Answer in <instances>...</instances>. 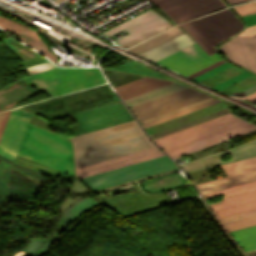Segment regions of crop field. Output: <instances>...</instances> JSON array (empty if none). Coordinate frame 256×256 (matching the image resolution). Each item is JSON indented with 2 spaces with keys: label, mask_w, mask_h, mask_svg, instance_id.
<instances>
[{
  "label": "crop field",
  "mask_w": 256,
  "mask_h": 256,
  "mask_svg": "<svg viewBox=\"0 0 256 256\" xmlns=\"http://www.w3.org/2000/svg\"><path fill=\"white\" fill-rule=\"evenodd\" d=\"M69 138L75 168L154 147L135 120Z\"/></svg>",
  "instance_id": "8a807250"
},
{
  "label": "crop field",
  "mask_w": 256,
  "mask_h": 256,
  "mask_svg": "<svg viewBox=\"0 0 256 256\" xmlns=\"http://www.w3.org/2000/svg\"><path fill=\"white\" fill-rule=\"evenodd\" d=\"M256 130V126L231 113L154 140L172 158Z\"/></svg>",
  "instance_id": "ac0d7876"
},
{
  "label": "crop field",
  "mask_w": 256,
  "mask_h": 256,
  "mask_svg": "<svg viewBox=\"0 0 256 256\" xmlns=\"http://www.w3.org/2000/svg\"><path fill=\"white\" fill-rule=\"evenodd\" d=\"M18 155L73 174L69 141L46 129L29 124Z\"/></svg>",
  "instance_id": "34b2d1b8"
},
{
  "label": "crop field",
  "mask_w": 256,
  "mask_h": 256,
  "mask_svg": "<svg viewBox=\"0 0 256 256\" xmlns=\"http://www.w3.org/2000/svg\"><path fill=\"white\" fill-rule=\"evenodd\" d=\"M61 98L62 100H60V98H54L55 100L50 99L51 101L46 100L47 102L42 101L43 103H38L40 105L56 100L60 101L40 106H38L37 104H32L23 106L22 108L50 120L70 115L72 113L119 102V99L116 97L114 92L107 84L72 93L69 95L61 96Z\"/></svg>",
  "instance_id": "412701ff"
},
{
  "label": "crop field",
  "mask_w": 256,
  "mask_h": 256,
  "mask_svg": "<svg viewBox=\"0 0 256 256\" xmlns=\"http://www.w3.org/2000/svg\"><path fill=\"white\" fill-rule=\"evenodd\" d=\"M23 80L29 86L44 88L51 97L105 82L97 68H57Z\"/></svg>",
  "instance_id": "f4fd0767"
},
{
  "label": "crop field",
  "mask_w": 256,
  "mask_h": 256,
  "mask_svg": "<svg viewBox=\"0 0 256 256\" xmlns=\"http://www.w3.org/2000/svg\"><path fill=\"white\" fill-rule=\"evenodd\" d=\"M197 21L219 42L241 30V22L228 10L197 19ZM196 20L180 26L208 53L216 50L212 47L218 43Z\"/></svg>",
  "instance_id": "dd49c442"
},
{
  "label": "crop field",
  "mask_w": 256,
  "mask_h": 256,
  "mask_svg": "<svg viewBox=\"0 0 256 256\" xmlns=\"http://www.w3.org/2000/svg\"><path fill=\"white\" fill-rule=\"evenodd\" d=\"M153 11V10H152ZM150 9L100 33L106 37H109L123 29H125L129 34L115 40L117 45H122L146 32H149L165 23H167L163 18L152 12ZM172 27L169 23L149 32L146 33L124 45L121 47L127 48L135 43H138L148 37H151L161 31H164L165 29H168Z\"/></svg>",
  "instance_id": "e52e79f7"
},
{
  "label": "crop field",
  "mask_w": 256,
  "mask_h": 256,
  "mask_svg": "<svg viewBox=\"0 0 256 256\" xmlns=\"http://www.w3.org/2000/svg\"><path fill=\"white\" fill-rule=\"evenodd\" d=\"M171 169H175L173 164L160 157L82 179L96 189Z\"/></svg>",
  "instance_id": "d8731c3e"
},
{
  "label": "crop field",
  "mask_w": 256,
  "mask_h": 256,
  "mask_svg": "<svg viewBox=\"0 0 256 256\" xmlns=\"http://www.w3.org/2000/svg\"><path fill=\"white\" fill-rule=\"evenodd\" d=\"M222 194L221 201L209 204L219 217L256 208V181L203 194L204 199Z\"/></svg>",
  "instance_id": "5a996713"
},
{
  "label": "crop field",
  "mask_w": 256,
  "mask_h": 256,
  "mask_svg": "<svg viewBox=\"0 0 256 256\" xmlns=\"http://www.w3.org/2000/svg\"><path fill=\"white\" fill-rule=\"evenodd\" d=\"M77 123L69 126L74 135L133 120L128 110L119 102L70 115Z\"/></svg>",
  "instance_id": "3316defc"
},
{
  "label": "crop field",
  "mask_w": 256,
  "mask_h": 256,
  "mask_svg": "<svg viewBox=\"0 0 256 256\" xmlns=\"http://www.w3.org/2000/svg\"><path fill=\"white\" fill-rule=\"evenodd\" d=\"M227 177L196 184L201 194L256 180V157L221 165Z\"/></svg>",
  "instance_id": "28ad6ade"
},
{
  "label": "crop field",
  "mask_w": 256,
  "mask_h": 256,
  "mask_svg": "<svg viewBox=\"0 0 256 256\" xmlns=\"http://www.w3.org/2000/svg\"><path fill=\"white\" fill-rule=\"evenodd\" d=\"M206 97L209 96L189 87L148 103L136 106L131 108V110L138 120H144Z\"/></svg>",
  "instance_id": "d1516ede"
},
{
  "label": "crop field",
  "mask_w": 256,
  "mask_h": 256,
  "mask_svg": "<svg viewBox=\"0 0 256 256\" xmlns=\"http://www.w3.org/2000/svg\"><path fill=\"white\" fill-rule=\"evenodd\" d=\"M166 12L176 23L225 8L221 0H151Z\"/></svg>",
  "instance_id": "22f410ed"
},
{
  "label": "crop field",
  "mask_w": 256,
  "mask_h": 256,
  "mask_svg": "<svg viewBox=\"0 0 256 256\" xmlns=\"http://www.w3.org/2000/svg\"><path fill=\"white\" fill-rule=\"evenodd\" d=\"M219 59L217 53L208 57L194 43L156 63L187 76Z\"/></svg>",
  "instance_id": "cbeb9de0"
},
{
  "label": "crop field",
  "mask_w": 256,
  "mask_h": 256,
  "mask_svg": "<svg viewBox=\"0 0 256 256\" xmlns=\"http://www.w3.org/2000/svg\"><path fill=\"white\" fill-rule=\"evenodd\" d=\"M31 115V113L18 108L11 111L0 140L1 154L14 159Z\"/></svg>",
  "instance_id": "5142ce71"
},
{
  "label": "crop field",
  "mask_w": 256,
  "mask_h": 256,
  "mask_svg": "<svg viewBox=\"0 0 256 256\" xmlns=\"http://www.w3.org/2000/svg\"><path fill=\"white\" fill-rule=\"evenodd\" d=\"M95 205H97V202L89 197L78 199L75 202V204L71 208L67 209L60 217L59 227L56 230V232L52 235V238L48 240L43 238H31L28 245L22 250H24L25 252L32 256L34 252L38 249V247L42 244V242L46 240L45 243L34 255L41 256L47 250V248L59 238L57 235H59L79 214Z\"/></svg>",
  "instance_id": "d9b57169"
},
{
  "label": "crop field",
  "mask_w": 256,
  "mask_h": 256,
  "mask_svg": "<svg viewBox=\"0 0 256 256\" xmlns=\"http://www.w3.org/2000/svg\"><path fill=\"white\" fill-rule=\"evenodd\" d=\"M220 49L229 60L256 72V37L236 36L221 44Z\"/></svg>",
  "instance_id": "733c2abd"
},
{
  "label": "crop field",
  "mask_w": 256,
  "mask_h": 256,
  "mask_svg": "<svg viewBox=\"0 0 256 256\" xmlns=\"http://www.w3.org/2000/svg\"><path fill=\"white\" fill-rule=\"evenodd\" d=\"M162 154L159 150H157L155 147L146 149L143 151L135 152L132 154L124 155L121 157L109 159L106 161L98 162L95 164L87 165L84 167L76 168L75 174L81 178L89 175H93L96 173L108 171L111 169H115L118 167L126 166L129 164H133L136 162L144 161L147 159H151L154 157L162 156Z\"/></svg>",
  "instance_id": "4a817a6b"
},
{
  "label": "crop field",
  "mask_w": 256,
  "mask_h": 256,
  "mask_svg": "<svg viewBox=\"0 0 256 256\" xmlns=\"http://www.w3.org/2000/svg\"><path fill=\"white\" fill-rule=\"evenodd\" d=\"M191 43H193V41L185 33H183L139 55L155 62Z\"/></svg>",
  "instance_id": "bc2a9ffb"
},
{
  "label": "crop field",
  "mask_w": 256,
  "mask_h": 256,
  "mask_svg": "<svg viewBox=\"0 0 256 256\" xmlns=\"http://www.w3.org/2000/svg\"><path fill=\"white\" fill-rule=\"evenodd\" d=\"M186 85H182L176 82L170 83L168 85L162 86L160 88L154 89L152 91L146 92L144 94L138 95L136 97L130 98L128 100H125V103L128 105L129 108L134 107L136 105L148 102L150 100L159 98L161 96L170 94L172 92L184 89Z\"/></svg>",
  "instance_id": "214f88e0"
},
{
  "label": "crop field",
  "mask_w": 256,
  "mask_h": 256,
  "mask_svg": "<svg viewBox=\"0 0 256 256\" xmlns=\"http://www.w3.org/2000/svg\"><path fill=\"white\" fill-rule=\"evenodd\" d=\"M228 232L256 225V209L219 218Z\"/></svg>",
  "instance_id": "92a150f3"
},
{
  "label": "crop field",
  "mask_w": 256,
  "mask_h": 256,
  "mask_svg": "<svg viewBox=\"0 0 256 256\" xmlns=\"http://www.w3.org/2000/svg\"><path fill=\"white\" fill-rule=\"evenodd\" d=\"M172 81H166L161 79L151 78L144 82L138 83L126 89L118 91L123 100L128 99L130 97L136 96L138 94L144 93L146 91L152 90L154 88L160 87L162 85L168 84Z\"/></svg>",
  "instance_id": "dafd665d"
},
{
  "label": "crop field",
  "mask_w": 256,
  "mask_h": 256,
  "mask_svg": "<svg viewBox=\"0 0 256 256\" xmlns=\"http://www.w3.org/2000/svg\"><path fill=\"white\" fill-rule=\"evenodd\" d=\"M181 33H183V31L180 30L177 26H175V27H173V28H171V29H169V30H167V31H165V32H163V33H161V34H159V35H157V36H155V37H153V38H151V39H149V40H147V41H145V42H143V43H141V44H139L135 47H133V48H131V49H129V51L134 52L136 54H139V53H141V52H143V51H145V50H147L151 47H154V46H156V45H158V44H160V43H162V42H164L168 39H171V38H173V37H175V36H177Z\"/></svg>",
  "instance_id": "00972430"
},
{
  "label": "crop field",
  "mask_w": 256,
  "mask_h": 256,
  "mask_svg": "<svg viewBox=\"0 0 256 256\" xmlns=\"http://www.w3.org/2000/svg\"><path fill=\"white\" fill-rule=\"evenodd\" d=\"M243 251L256 248V226L230 232Z\"/></svg>",
  "instance_id": "a9b5d70f"
},
{
  "label": "crop field",
  "mask_w": 256,
  "mask_h": 256,
  "mask_svg": "<svg viewBox=\"0 0 256 256\" xmlns=\"http://www.w3.org/2000/svg\"><path fill=\"white\" fill-rule=\"evenodd\" d=\"M226 113H229V111H228L227 108L222 109V110L217 111V112H214V113H211V114H208V115H206V116H203V117L194 119V120H192V121L183 123V124H181V125H178V126L169 128V129H167V130H164V131L155 133V134H153V135H150V137H151L152 140H154V139H157V138H159V137H162V136L171 134V133H173V132H176V131L185 129V128L190 127V126H193V125H196V124H198V123H201V122L210 120V119H212V118H215V117H218V116H221V115H224V114H226Z\"/></svg>",
  "instance_id": "4177f3b9"
},
{
  "label": "crop field",
  "mask_w": 256,
  "mask_h": 256,
  "mask_svg": "<svg viewBox=\"0 0 256 256\" xmlns=\"http://www.w3.org/2000/svg\"><path fill=\"white\" fill-rule=\"evenodd\" d=\"M217 101H220V100H217V99L211 100V101H209V102H206V103L200 104V105H198V106H195V107L189 108V109H187V110H184V111L178 112V113L173 114V115H170V116H168V117H165V118L159 119V120H157V121H154V122L148 123V124H146V125H143V128L148 127V126L153 125V124H156V123H159V122H162V121H164V120H167V119H170V118L176 117V116H178V115H181V114L187 113V112H189V111H192V110H195V109L201 108V107H203V106H206V105H209V104L215 103V102H217Z\"/></svg>",
  "instance_id": "730fd06b"
},
{
  "label": "crop field",
  "mask_w": 256,
  "mask_h": 256,
  "mask_svg": "<svg viewBox=\"0 0 256 256\" xmlns=\"http://www.w3.org/2000/svg\"><path fill=\"white\" fill-rule=\"evenodd\" d=\"M233 8L237 11V13L240 16L254 13V12H256V1L247 3V4H243V5H239V6H235Z\"/></svg>",
  "instance_id": "eef30255"
},
{
  "label": "crop field",
  "mask_w": 256,
  "mask_h": 256,
  "mask_svg": "<svg viewBox=\"0 0 256 256\" xmlns=\"http://www.w3.org/2000/svg\"><path fill=\"white\" fill-rule=\"evenodd\" d=\"M53 68H57V67L52 63L48 62V63L36 65L33 67L25 68V71L28 73V75H30V74L42 72V71L53 69Z\"/></svg>",
  "instance_id": "ae1a2a85"
},
{
  "label": "crop field",
  "mask_w": 256,
  "mask_h": 256,
  "mask_svg": "<svg viewBox=\"0 0 256 256\" xmlns=\"http://www.w3.org/2000/svg\"><path fill=\"white\" fill-rule=\"evenodd\" d=\"M211 99H214V98L209 97V98L203 99V100H201V101H198V102H195V103L186 105V106H184V107H181V108H178V109H175V110L166 112V113H164V114H161V115H158V116H155V117H152V118H149V119H147V120L141 121V124L146 123V122H149V121L154 120V119H157V118H160V117H163V116H166V115H169V114H171V113H174V112H177V111L186 109V108H188V107H191V106H194V105H197V104L206 102V101L211 100Z\"/></svg>",
  "instance_id": "d3111659"
},
{
  "label": "crop field",
  "mask_w": 256,
  "mask_h": 256,
  "mask_svg": "<svg viewBox=\"0 0 256 256\" xmlns=\"http://www.w3.org/2000/svg\"><path fill=\"white\" fill-rule=\"evenodd\" d=\"M229 66H231V65H229L225 62V63H223V64H221V65H219V66H217V67H215V68H213V69H211V70H209V71H207V72H205V73H203V74H201V75H199V76H197L193 79L196 80V81H200V80H202V79H204V78H206V77H208V76H210L214 73H217V72H219V71H221V70H223V69H225Z\"/></svg>",
  "instance_id": "750c4746"
},
{
  "label": "crop field",
  "mask_w": 256,
  "mask_h": 256,
  "mask_svg": "<svg viewBox=\"0 0 256 256\" xmlns=\"http://www.w3.org/2000/svg\"><path fill=\"white\" fill-rule=\"evenodd\" d=\"M249 75H251V74L243 72V73H241V74H239V75H237V76H235V77H233V78H231V79H229V80H227V81H225V82H223V83H221V84H219V85H217L213 88H215L217 90H220V89H222V88H224V87H226V86H228V85H230L234 82H237V81H239V80H241V79H243V78H245Z\"/></svg>",
  "instance_id": "bd1437ed"
},
{
  "label": "crop field",
  "mask_w": 256,
  "mask_h": 256,
  "mask_svg": "<svg viewBox=\"0 0 256 256\" xmlns=\"http://www.w3.org/2000/svg\"><path fill=\"white\" fill-rule=\"evenodd\" d=\"M10 111L11 110L0 113V137L5 127Z\"/></svg>",
  "instance_id": "1d83c4d3"
},
{
  "label": "crop field",
  "mask_w": 256,
  "mask_h": 256,
  "mask_svg": "<svg viewBox=\"0 0 256 256\" xmlns=\"http://www.w3.org/2000/svg\"><path fill=\"white\" fill-rule=\"evenodd\" d=\"M242 18L245 20L247 27L256 25V13L247 15V16H243Z\"/></svg>",
  "instance_id": "120bbe31"
},
{
  "label": "crop field",
  "mask_w": 256,
  "mask_h": 256,
  "mask_svg": "<svg viewBox=\"0 0 256 256\" xmlns=\"http://www.w3.org/2000/svg\"><path fill=\"white\" fill-rule=\"evenodd\" d=\"M255 90H256V84L249 87V88H246V89H244V90H242V91H240L236 94H234V96L243 97V96H245V95H247V94H249V93H251Z\"/></svg>",
  "instance_id": "d32e631a"
},
{
  "label": "crop field",
  "mask_w": 256,
  "mask_h": 256,
  "mask_svg": "<svg viewBox=\"0 0 256 256\" xmlns=\"http://www.w3.org/2000/svg\"><path fill=\"white\" fill-rule=\"evenodd\" d=\"M240 36H252L256 35V26L247 28L243 33L239 34Z\"/></svg>",
  "instance_id": "5866460e"
},
{
  "label": "crop field",
  "mask_w": 256,
  "mask_h": 256,
  "mask_svg": "<svg viewBox=\"0 0 256 256\" xmlns=\"http://www.w3.org/2000/svg\"><path fill=\"white\" fill-rule=\"evenodd\" d=\"M222 62H224L223 59L214 63V64H212V65H210V66H208V67H206V68H204V69H202V70H200V71H198V72H196V73H194V74H192V75H190V76H188V77L192 78V77H194V76H196V75H198V74H200V73H202V72H204V71H206V70H208V69H210V68H212V67H214V66H216L220 63H222Z\"/></svg>",
  "instance_id": "028f5c9d"
},
{
  "label": "crop field",
  "mask_w": 256,
  "mask_h": 256,
  "mask_svg": "<svg viewBox=\"0 0 256 256\" xmlns=\"http://www.w3.org/2000/svg\"><path fill=\"white\" fill-rule=\"evenodd\" d=\"M149 78H150V77H146V78H143V79H141V80H138V81L132 82V83H130V84H127V85L121 86V87H119V88H116V91H117V90H120V89H123V88H125V87H128V86H131V85H133V84H136V83H138V82H141V81H143V80L149 79Z\"/></svg>",
  "instance_id": "e1f06a70"
},
{
  "label": "crop field",
  "mask_w": 256,
  "mask_h": 256,
  "mask_svg": "<svg viewBox=\"0 0 256 256\" xmlns=\"http://www.w3.org/2000/svg\"><path fill=\"white\" fill-rule=\"evenodd\" d=\"M247 256H256V249L245 251Z\"/></svg>",
  "instance_id": "0bd39190"
},
{
  "label": "crop field",
  "mask_w": 256,
  "mask_h": 256,
  "mask_svg": "<svg viewBox=\"0 0 256 256\" xmlns=\"http://www.w3.org/2000/svg\"><path fill=\"white\" fill-rule=\"evenodd\" d=\"M246 99H249V100H252V101H255L256 102V93L246 97Z\"/></svg>",
  "instance_id": "b80d0937"
},
{
  "label": "crop field",
  "mask_w": 256,
  "mask_h": 256,
  "mask_svg": "<svg viewBox=\"0 0 256 256\" xmlns=\"http://www.w3.org/2000/svg\"><path fill=\"white\" fill-rule=\"evenodd\" d=\"M230 4H234V3H238V2H242V1H246V0H227ZM250 1V0H248Z\"/></svg>",
  "instance_id": "c035e120"
}]
</instances>
